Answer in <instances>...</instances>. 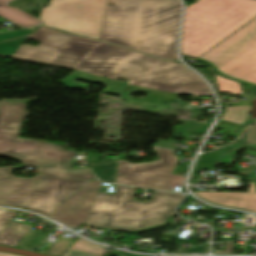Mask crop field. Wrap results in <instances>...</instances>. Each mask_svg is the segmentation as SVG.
Segmentation results:
<instances>
[{"mask_svg":"<svg viewBox=\"0 0 256 256\" xmlns=\"http://www.w3.org/2000/svg\"><path fill=\"white\" fill-rule=\"evenodd\" d=\"M104 249L79 238L63 256H101Z\"/></svg>","mask_w":256,"mask_h":256,"instance_id":"obj_15","label":"crop field"},{"mask_svg":"<svg viewBox=\"0 0 256 256\" xmlns=\"http://www.w3.org/2000/svg\"><path fill=\"white\" fill-rule=\"evenodd\" d=\"M118 256H121V255H118Z\"/></svg>","mask_w":256,"mask_h":256,"instance_id":"obj_32","label":"crop field"},{"mask_svg":"<svg viewBox=\"0 0 256 256\" xmlns=\"http://www.w3.org/2000/svg\"><path fill=\"white\" fill-rule=\"evenodd\" d=\"M106 1L51 0L39 18L44 25L99 39Z\"/></svg>","mask_w":256,"mask_h":256,"instance_id":"obj_8","label":"crop field"},{"mask_svg":"<svg viewBox=\"0 0 256 256\" xmlns=\"http://www.w3.org/2000/svg\"><path fill=\"white\" fill-rule=\"evenodd\" d=\"M196 1H198V0H196Z\"/></svg>","mask_w":256,"mask_h":256,"instance_id":"obj_33","label":"crop field"},{"mask_svg":"<svg viewBox=\"0 0 256 256\" xmlns=\"http://www.w3.org/2000/svg\"><path fill=\"white\" fill-rule=\"evenodd\" d=\"M31 227L11 222L0 233V245L15 247Z\"/></svg>","mask_w":256,"mask_h":256,"instance_id":"obj_14","label":"crop field"},{"mask_svg":"<svg viewBox=\"0 0 256 256\" xmlns=\"http://www.w3.org/2000/svg\"><path fill=\"white\" fill-rule=\"evenodd\" d=\"M215 76H216L217 86H218V89L220 92L234 93V94H238V95L242 94L241 90H240L239 83L225 79V78L219 76L218 74H215Z\"/></svg>","mask_w":256,"mask_h":256,"instance_id":"obj_20","label":"crop field"},{"mask_svg":"<svg viewBox=\"0 0 256 256\" xmlns=\"http://www.w3.org/2000/svg\"><path fill=\"white\" fill-rule=\"evenodd\" d=\"M233 245V242L226 243L225 251H214V253H232Z\"/></svg>","mask_w":256,"mask_h":256,"instance_id":"obj_29","label":"crop field"},{"mask_svg":"<svg viewBox=\"0 0 256 256\" xmlns=\"http://www.w3.org/2000/svg\"><path fill=\"white\" fill-rule=\"evenodd\" d=\"M134 188L116 185V193L100 191L86 222L94 228L148 231L167 224L183 194L155 191L148 202L134 201ZM86 225V226H87Z\"/></svg>","mask_w":256,"mask_h":256,"instance_id":"obj_3","label":"crop field"},{"mask_svg":"<svg viewBox=\"0 0 256 256\" xmlns=\"http://www.w3.org/2000/svg\"><path fill=\"white\" fill-rule=\"evenodd\" d=\"M38 28L39 27L32 28V29H27V30L15 31V32H12V33H9V34H5V35H0V41H5V40H8V39L19 38V37H21L23 35L35 32Z\"/></svg>","mask_w":256,"mask_h":256,"instance_id":"obj_24","label":"crop field"},{"mask_svg":"<svg viewBox=\"0 0 256 256\" xmlns=\"http://www.w3.org/2000/svg\"><path fill=\"white\" fill-rule=\"evenodd\" d=\"M247 143L256 145V125L248 130Z\"/></svg>","mask_w":256,"mask_h":256,"instance_id":"obj_26","label":"crop field"},{"mask_svg":"<svg viewBox=\"0 0 256 256\" xmlns=\"http://www.w3.org/2000/svg\"><path fill=\"white\" fill-rule=\"evenodd\" d=\"M117 160L88 163L101 181L114 183Z\"/></svg>","mask_w":256,"mask_h":256,"instance_id":"obj_16","label":"crop field"},{"mask_svg":"<svg viewBox=\"0 0 256 256\" xmlns=\"http://www.w3.org/2000/svg\"><path fill=\"white\" fill-rule=\"evenodd\" d=\"M31 38L37 47L23 45L13 56L26 60L82 70L128 84L171 93L210 95L208 87L180 63L147 56L100 42L40 28Z\"/></svg>","mask_w":256,"mask_h":256,"instance_id":"obj_1","label":"crop field"},{"mask_svg":"<svg viewBox=\"0 0 256 256\" xmlns=\"http://www.w3.org/2000/svg\"><path fill=\"white\" fill-rule=\"evenodd\" d=\"M102 182L93 180L71 197L63 201L48 217L73 229L84 224L90 214Z\"/></svg>","mask_w":256,"mask_h":256,"instance_id":"obj_10","label":"crop field"},{"mask_svg":"<svg viewBox=\"0 0 256 256\" xmlns=\"http://www.w3.org/2000/svg\"><path fill=\"white\" fill-rule=\"evenodd\" d=\"M105 86L107 87L104 92L117 94V95H120L122 99H125L126 90H123V88L127 87V84L107 79Z\"/></svg>","mask_w":256,"mask_h":256,"instance_id":"obj_22","label":"crop field"},{"mask_svg":"<svg viewBox=\"0 0 256 256\" xmlns=\"http://www.w3.org/2000/svg\"><path fill=\"white\" fill-rule=\"evenodd\" d=\"M174 140H166L162 141L156 144H153L152 146H158V147H163V148H169V149H176L175 147H172L174 145Z\"/></svg>","mask_w":256,"mask_h":256,"instance_id":"obj_27","label":"crop field"},{"mask_svg":"<svg viewBox=\"0 0 256 256\" xmlns=\"http://www.w3.org/2000/svg\"><path fill=\"white\" fill-rule=\"evenodd\" d=\"M0 256H19V255H14V254H9V253H1Z\"/></svg>","mask_w":256,"mask_h":256,"instance_id":"obj_31","label":"crop field"},{"mask_svg":"<svg viewBox=\"0 0 256 256\" xmlns=\"http://www.w3.org/2000/svg\"><path fill=\"white\" fill-rule=\"evenodd\" d=\"M200 159H215L214 152L208 155L200 156Z\"/></svg>","mask_w":256,"mask_h":256,"instance_id":"obj_30","label":"crop field"},{"mask_svg":"<svg viewBox=\"0 0 256 256\" xmlns=\"http://www.w3.org/2000/svg\"><path fill=\"white\" fill-rule=\"evenodd\" d=\"M255 16L254 0H200L186 8L180 52L195 59Z\"/></svg>","mask_w":256,"mask_h":256,"instance_id":"obj_4","label":"crop field"},{"mask_svg":"<svg viewBox=\"0 0 256 256\" xmlns=\"http://www.w3.org/2000/svg\"><path fill=\"white\" fill-rule=\"evenodd\" d=\"M44 176L78 178V179H93L94 176L88 168L70 170L69 163L54 164L39 167Z\"/></svg>","mask_w":256,"mask_h":256,"instance_id":"obj_13","label":"crop field"},{"mask_svg":"<svg viewBox=\"0 0 256 256\" xmlns=\"http://www.w3.org/2000/svg\"><path fill=\"white\" fill-rule=\"evenodd\" d=\"M160 160L132 165L119 161L117 183L139 188L168 191L174 186H183L185 177L171 175L178 158L172 151L154 148Z\"/></svg>","mask_w":256,"mask_h":256,"instance_id":"obj_9","label":"crop field"},{"mask_svg":"<svg viewBox=\"0 0 256 256\" xmlns=\"http://www.w3.org/2000/svg\"><path fill=\"white\" fill-rule=\"evenodd\" d=\"M250 110L251 106L226 107L220 119L243 125Z\"/></svg>","mask_w":256,"mask_h":256,"instance_id":"obj_18","label":"crop field"},{"mask_svg":"<svg viewBox=\"0 0 256 256\" xmlns=\"http://www.w3.org/2000/svg\"><path fill=\"white\" fill-rule=\"evenodd\" d=\"M199 60L225 77L256 85V19Z\"/></svg>","mask_w":256,"mask_h":256,"instance_id":"obj_7","label":"crop field"},{"mask_svg":"<svg viewBox=\"0 0 256 256\" xmlns=\"http://www.w3.org/2000/svg\"><path fill=\"white\" fill-rule=\"evenodd\" d=\"M206 248H207V245L199 248L190 249L181 253H205Z\"/></svg>","mask_w":256,"mask_h":256,"instance_id":"obj_28","label":"crop field"},{"mask_svg":"<svg viewBox=\"0 0 256 256\" xmlns=\"http://www.w3.org/2000/svg\"><path fill=\"white\" fill-rule=\"evenodd\" d=\"M214 164V160H200L198 161L193 174H197L200 169L209 170Z\"/></svg>","mask_w":256,"mask_h":256,"instance_id":"obj_25","label":"crop field"},{"mask_svg":"<svg viewBox=\"0 0 256 256\" xmlns=\"http://www.w3.org/2000/svg\"><path fill=\"white\" fill-rule=\"evenodd\" d=\"M1 104V103H0Z\"/></svg>","mask_w":256,"mask_h":256,"instance_id":"obj_34","label":"crop field"},{"mask_svg":"<svg viewBox=\"0 0 256 256\" xmlns=\"http://www.w3.org/2000/svg\"><path fill=\"white\" fill-rule=\"evenodd\" d=\"M180 11L179 0H108L100 39L152 56L176 59Z\"/></svg>","mask_w":256,"mask_h":256,"instance_id":"obj_2","label":"crop field"},{"mask_svg":"<svg viewBox=\"0 0 256 256\" xmlns=\"http://www.w3.org/2000/svg\"><path fill=\"white\" fill-rule=\"evenodd\" d=\"M196 120L192 121H186L183 123V125H177L174 127V135L172 137H178L179 133L181 134V137H183L184 132L188 133H202L204 134L205 130L208 128L209 124H200L195 125Z\"/></svg>","mask_w":256,"mask_h":256,"instance_id":"obj_19","label":"crop field"},{"mask_svg":"<svg viewBox=\"0 0 256 256\" xmlns=\"http://www.w3.org/2000/svg\"><path fill=\"white\" fill-rule=\"evenodd\" d=\"M199 197L212 203L228 207H237L256 212V190L255 183L249 182L247 194L243 193H210L194 192Z\"/></svg>","mask_w":256,"mask_h":256,"instance_id":"obj_11","label":"crop field"},{"mask_svg":"<svg viewBox=\"0 0 256 256\" xmlns=\"http://www.w3.org/2000/svg\"><path fill=\"white\" fill-rule=\"evenodd\" d=\"M30 101L33 100H2L0 107V156L15 158L32 166L72 161L75 152L63 150L62 146L18 139L22 120L30 115L26 112V103Z\"/></svg>","mask_w":256,"mask_h":256,"instance_id":"obj_6","label":"crop field"},{"mask_svg":"<svg viewBox=\"0 0 256 256\" xmlns=\"http://www.w3.org/2000/svg\"><path fill=\"white\" fill-rule=\"evenodd\" d=\"M27 36L18 40L0 43V55L13 56L17 50L30 38Z\"/></svg>","mask_w":256,"mask_h":256,"instance_id":"obj_21","label":"crop field"},{"mask_svg":"<svg viewBox=\"0 0 256 256\" xmlns=\"http://www.w3.org/2000/svg\"><path fill=\"white\" fill-rule=\"evenodd\" d=\"M16 212H11L7 210L0 209V232L3 230V228L10 223L13 218L17 215Z\"/></svg>","mask_w":256,"mask_h":256,"instance_id":"obj_23","label":"crop field"},{"mask_svg":"<svg viewBox=\"0 0 256 256\" xmlns=\"http://www.w3.org/2000/svg\"><path fill=\"white\" fill-rule=\"evenodd\" d=\"M13 169L0 168V205L27 208L46 217L90 181L46 178L40 174L23 179L14 177Z\"/></svg>","mask_w":256,"mask_h":256,"instance_id":"obj_5","label":"crop field"},{"mask_svg":"<svg viewBox=\"0 0 256 256\" xmlns=\"http://www.w3.org/2000/svg\"><path fill=\"white\" fill-rule=\"evenodd\" d=\"M76 79L98 82V83H103V84L105 83V80H106L103 77L95 76L92 74H88V73L76 70L71 75H69L67 78L61 80L60 82L70 88H80V89L88 90V88H89L88 85L80 84L75 81Z\"/></svg>","mask_w":256,"mask_h":256,"instance_id":"obj_17","label":"crop field"},{"mask_svg":"<svg viewBox=\"0 0 256 256\" xmlns=\"http://www.w3.org/2000/svg\"><path fill=\"white\" fill-rule=\"evenodd\" d=\"M11 1L13 0H0V17L22 27H31L43 24V21L41 20H38L16 8L8 7L7 5Z\"/></svg>","mask_w":256,"mask_h":256,"instance_id":"obj_12","label":"crop field"}]
</instances>
